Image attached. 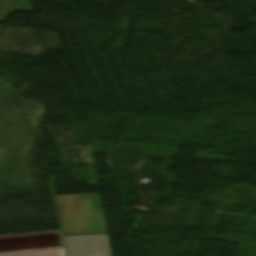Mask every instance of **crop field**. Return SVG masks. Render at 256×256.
Returning a JSON list of instances; mask_svg holds the SVG:
<instances>
[{
	"label": "crop field",
	"mask_w": 256,
	"mask_h": 256,
	"mask_svg": "<svg viewBox=\"0 0 256 256\" xmlns=\"http://www.w3.org/2000/svg\"><path fill=\"white\" fill-rule=\"evenodd\" d=\"M57 199L65 235L107 234L99 194Z\"/></svg>",
	"instance_id": "obj_1"
},
{
	"label": "crop field",
	"mask_w": 256,
	"mask_h": 256,
	"mask_svg": "<svg viewBox=\"0 0 256 256\" xmlns=\"http://www.w3.org/2000/svg\"><path fill=\"white\" fill-rule=\"evenodd\" d=\"M68 256H111L108 235L64 236Z\"/></svg>",
	"instance_id": "obj_2"
}]
</instances>
